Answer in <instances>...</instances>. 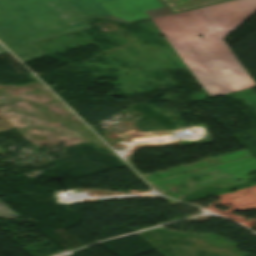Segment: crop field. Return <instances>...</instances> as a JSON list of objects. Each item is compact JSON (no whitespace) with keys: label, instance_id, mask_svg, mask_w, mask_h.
Listing matches in <instances>:
<instances>
[{"label":"crop field","instance_id":"1","mask_svg":"<svg viewBox=\"0 0 256 256\" xmlns=\"http://www.w3.org/2000/svg\"><path fill=\"white\" fill-rule=\"evenodd\" d=\"M256 11V0H234L174 14L167 6L143 11L210 97L255 87L222 39ZM202 37H199V36Z\"/></svg>","mask_w":256,"mask_h":256},{"label":"crop field","instance_id":"6","mask_svg":"<svg viewBox=\"0 0 256 256\" xmlns=\"http://www.w3.org/2000/svg\"><path fill=\"white\" fill-rule=\"evenodd\" d=\"M7 51L0 45V54L1 53H6Z\"/></svg>","mask_w":256,"mask_h":256},{"label":"crop field","instance_id":"5","mask_svg":"<svg viewBox=\"0 0 256 256\" xmlns=\"http://www.w3.org/2000/svg\"><path fill=\"white\" fill-rule=\"evenodd\" d=\"M99 18H103V19H109V20H115V21H120V20H123V19L114 18V17H110V16L99 17Z\"/></svg>","mask_w":256,"mask_h":256},{"label":"crop field","instance_id":"3","mask_svg":"<svg viewBox=\"0 0 256 256\" xmlns=\"http://www.w3.org/2000/svg\"><path fill=\"white\" fill-rule=\"evenodd\" d=\"M160 0H118L100 4L103 11L110 16L126 19L120 21L127 23L130 21L148 18L140 11L163 6Z\"/></svg>","mask_w":256,"mask_h":256},{"label":"crop field","instance_id":"4","mask_svg":"<svg viewBox=\"0 0 256 256\" xmlns=\"http://www.w3.org/2000/svg\"><path fill=\"white\" fill-rule=\"evenodd\" d=\"M17 217H19V215L0 201V218L15 219Z\"/></svg>","mask_w":256,"mask_h":256},{"label":"crop field","instance_id":"2","mask_svg":"<svg viewBox=\"0 0 256 256\" xmlns=\"http://www.w3.org/2000/svg\"><path fill=\"white\" fill-rule=\"evenodd\" d=\"M113 0H0V41L23 63L44 56L30 42L90 26Z\"/></svg>","mask_w":256,"mask_h":256}]
</instances>
